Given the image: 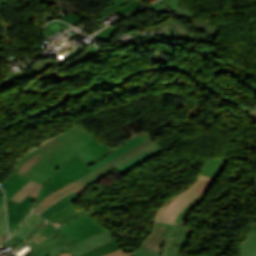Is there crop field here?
<instances>
[{
  "label": "crop field",
  "mask_w": 256,
  "mask_h": 256,
  "mask_svg": "<svg viewBox=\"0 0 256 256\" xmlns=\"http://www.w3.org/2000/svg\"><path fill=\"white\" fill-rule=\"evenodd\" d=\"M40 153L45 158L39 162L25 177L44 184L49 175L55 171L57 167L63 164L75 152L58 137L47 141L41 147L24 155L17 162V171L23 163L36 153ZM51 176V175H50Z\"/></svg>",
  "instance_id": "8a807250"
},
{
  "label": "crop field",
  "mask_w": 256,
  "mask_h": 256,
  "mask_svg": "<svg viewBox=\"0 0 256 256\" xmlns=\"http://www.w3.org/2000/svg\"><path fill=\"white\" fill-rule=\"evenodd\" d=\"M215 180L201 175L191 189L172 199L159 211L156 221L183 224L185 214L205 196Z\"/></svg>",
  "instance_id": "ac0d7876"
},
{
  "label": "crop field",
  "mask_w": 256,
  "mask_h": 256,
  "mask_svg": "<svg viewBox=\"0 0 256 256\" xmlns=\"http://www.w3.org/2000/svg\"><path fill=\"white\" fill-rule=\"evenodd\" d=\"M73 148L86 165L110 154L113 150L96 142V137L80 125L58 136Z\"/></svg>",
  "instance_id": "34b2d1b8"
},
{
  "label": "crop field",
  "mask_w": 256,
  "mask_h": 256,
  "mask_svg": "<svg viewBox=\"0 0 256 256\" xmlns=\"http://www.w3.org/2000/svg\"><path fill=\"white\" fill-rule=\"evenodd\" d=\"M90 171L92 170L84 164L77 154L72 156L51 176V178L40 190L35 208L38 203L49 194L67 185L68 183L79 179Z\"/></svg>",
  "instance_id": "412701ff"
},
{
  "label": "crop field",
  "mask_w": 256,
  "mask_h": 256,
  "mask_svg": "<svg viewBox=\"0 0 256 256\" xmlns=\"http://www.w3.org/2000/svg\"><path fill=\"white\" fill-rule=\"evenodd\" d=\"M156 146L157 145L153 141L149 140V141L123 153L122 155L111 160L110 162L103 165L102 167L88 173L84 177L80 178L78 181L90 186V185L98 182L102 178H104L106 175H108L109 173L114 171L116 168L124 165L131 159L137 157L138 155H140Z\"/></svg>",
  "instance_id": "f4fd0767"
},
{
  "label": "crop field",
  "mask_w": 256,
  "mask_h": 256,
  "mask_svg": "<svg viewBox=\"0 0 256 256\" xmlns=\"http://www.w3.org/2000/svg\"><path fill=\"white\" fill-rule=\"evenodd\" d=\"M76 243L75 239L57 228L26 256H58Z\"/></svg>",
  "instance_id": "dd49c442"
},
{
  "label": "crop field",
  "mask_w": 256,
  "mask_h": 256,
  "mask_svg": "<svg viewBox=\"0 0 256 256\" xmlns=\"http://www.w3.org/2000/svg\"><path fill=\"white\" fill-rule=\"evenodd\" d=\"M60 229L79 242L106 230L103 226L91 219L89 215L81 217Z\"/></svg>",
  "instance_id": "e52e79f7"
},
{
  "label": "crop field",
  "mask_w": 256,
  "mask_h": 256,
  "mask_svg": "<svg viewBox=\"0 0 256 256\" xmlns=\"http://www.w3.org/2000/svg\"><path fill=\"white\" fill-rule=\"evenodd\" d=\"M171 226L172 224L156 223L155 231L140 248L150 252L160 254L163 240L166 234L168 233L169 229L171 228Z\"/></svg>",
  "instance_id": "d8731c3e"
},
{
  "label": "crop field",
  "mask_w": 256,
  "mask_h": 256,
  "mask_svg": "<svg viewBox=\"0 0 256 256\" xmlns=\"http://www.w3.org/2000/svg\"><path fill=\"white\" fill-rule=\"evenodd\" d=\"M112 239H115L113 234L111 232H109L108 230H106L92 238H89V239L69 248L68 250H66V252L70 253L73 256H78V255L82 254L83 252H85L97 245H100L102 243L110 241Z\"/></svg>",
  "instance_id": "5a996713"
},
{
  "label": "crop field",
  "mask_w": 256,
  "mask_h": 256,
  "mask_svg": "<svg viewBox=\"0 0 256 256\" xmlns=\"http://www.w3.org/2000/svg\"><path fill=\"white\" fill-rule=\"evenodd\" d=\"M34 200L29 195L20 204L7 199L10 230L21 219Z\"/></svg>",
  "instance_id": "3316defc"
},
{
  "label": "crop field",
  "mask_w": 256,
  "mask_h": 256,
  "mask_svg": "<svg viewBox=\"0 0 256 256\" xmlns=\"http://www.w3.org/2000/svg\"><path fill=\"white\" fill-rule=\"evenodd\" d=\"M185 227L173 224L169 233L167 234L161 256H174L176 244L179 241Z\"/></svg>",
  "instance_id": "28ad6ade"
},
{
  "label": "crop field",
  "mask_w": 256,
  "mask_h": 256,
  "mask_svg": "<svg viewBox=\"0 0 256 256\" xmlns=\"http://www.w3.org/2000/svg\"><path fill=\"white\" fill-rule=\"evenodd\" d=\"M150 139L148 134L146 135H142V136H139V137H136L132 140H130L129 142H127L125 145H123L122 147H120L118 150H116L115 152L113 151L110 155L104 157L103 159L95 162V165L90 167L92 170L105 164L106 162L110 161L111 159L115 158L116 156L122 154L123 152L133 148L134 146L146 141Z\"/></svg>",
  "instance_id": "d1516ede"
},
{
  "label": "crop field",
  "mask_w": 256,
  "mask_h": 256,
  "mask_svg": "<svg viewBox=\"0 0 256 256\" xmlns=\"http://www.w3.org/2000/svg\"><path fill=\"white\" fill-rule=\"evenodd\" d=\"M83 184L75 181L60 190L54 192L53 194L49 195L46 199H44L42 202L39 203L37 208L34 210V212L39 213L43 211L45 208H47L51 203H53L56 199L60 198L61 196L79 188Z\"/></svg>",
  "instance_id": "22f410ed"
},
{
  "label": "crop field",
  "mask_w": 256,
  "mask_h": 256,
  "mask_svg": "<svg viewBox=\"0 0 256 256\" xmlns=\"http://www.w3.org/2000/svg\"><path fill=\"white\" fill-rule=\"evenodd\" d=\"M28 181H29V179L13 173L3 183H1V186H3L5 188L6 193H7V198L10 199Z\"/></svg>",
  "instance_id": "cbeb9de0"
},
{
  "label": "crop field",
  "mask_w": 256,
  "mask_h": 256,
  "mask_svg": "<svg viewBox=\"0 0 256 256\" xmlns=\"http://www.w3.org/2000/svg\"><path fill=\"white\" fill-rule=\"evenodd\" d=\"M227 163V158L226 157H221L217 159H210V161L205 165V167L202 170V175L218 178L220 175L221 171L225 167Z\"/></svg>",
  "instance_id": "5142ce71"
},
{
  "label": "crop field",
  "mask_w": 256,
  "mask_h": 256,
  "mask_svg": "<svg viewBox=\"0 0 256 256\" xmlns=\"http://www.w3.org/2000/svg\"><path fill=\"white\" fill-rule=\"evenodd\" d=\"M69 28L71 27L64 23L52 22L46 27L42 36L53 42L58 36L67 31Z\"/></svg>",
  "instance_id": "d9b57169"
},
{
  "label": "crop field",
  "mask_w": 256,
  "mask_h": 256,
  "mask_svg": "<svg viewBox=\"0 0 256 256\" xmlns=\"http://www.w3.org/2000/svg\"><path fill=\"white\" fill-rule=\"evenodd\" d=\"M119 250L116 240H112L98 247H95L80 256H101Z\"/></svg>",
  "instance_id": "733c2abd"
},
{
  "label": "crop field",
  "mask_w": 256,
  "mask_h": 256,
  "mask_svg": "<svg viewBox=\"0 0 256 256\" xmlns=\"http://www.w3.org/2000/svg\"><path fill=\"white\" fill-rule=\"evenodd\" d=\"M41 187L40 184L30 180L21 190H19L11 200L20 203L28 194L35 197L37 191Z\"/></svg>",
  "instance_id": "4a817a6b"
},
{
  "label": "crop field",
  "mask_w": 256,
  "mask_h": 256,
  "mask_svg": "<svg viewBox=\"0 0 256 256\" xmlns=\"http://www.w3.org/2000/svg\"><path fill=\"white\" fill-rule=\"evenodd\" d=\"M161 152H162V150H161V148L158 146L157 148H155V149H153V150H151V151H149V152H147V153H145V154H143V155H141V156H139V157H137V158L131 160L130 162H128V163L125 164L124 166H122V167L116 169V171H117L118 173H120V174L123 175V174L126 173L129 169H131L133 166H135V165L139 164L140 162H142V161H144V160H146V159H148V158H150V157H152V156H154V155H157V154H159V153H161Z\"/></svg>",
  "instance_id": "bc2a9ffb"
},
{
  "label": "crop field",
  "mask_w": 256,
  "mask_h": 256,
  "mask_svg": "<svg viewBox=\"0 0 256 256\" xmlns=\"http://www.w3.org/2000/svg\"><path fill=\"white\" fill-rule=\"evenodd\" d=\"M138 7H141V2L139 0H134L130 4L121 6V7L116 8V9H113L111 11H108V12H106L104 14H101V15H98L96 17L101 18V17H104V16H106L108 14H111L114 11H117L119 13V15L122 16V15H124V14H126V13H128V12H130V11L136 9V8H138Z\"/></svg>",
  "instance_id": "214f88e0"
},
{
  "label": "crop field",
  "mask_w": 256,
  "mask_h": 256,
  "mask_svg": "<svg viewBox=\"0 0 256 256\" xmlns=\"http://www.w3.org/2000/svg\"><path fill=\"white\" fill-rule=\"evenodd\" d=\"M43 158L44 157H42L40 154L37 153L32 158H30L27 162L24 163V165L18 171V174L24 176L29 170H31Z\"/></svg>",
  "instance_id": "92a150f3"
},
{
  "label": "crop field",
  "mask_w": 256,
  "mask_h": 256,
  "mask_svg": "<svg viewBox=\"0 0 256 256\" xmlns=\"http://www.w3.org/2000/svg\"><path fill=\"white\" fill-rule=\"evenodd\" d=\"M254 244H256V231L252 229L248 233L240 247L242 255H244V253Z\"/></svg>",
  "instance_id": "dafd665d"
},
{
  "label": "crop field",
  "mask_w": 256,
  "mask_h": 256,
  "mask_svg": "<svg viewBox=\"0 0 256 256\" xmlns=\"http://www.w3.org/2000/svg\"><path fill=\"white\" fill-rule=\"evenodd\" d=\"M87 214L88 213L85 212V211H78V212H75V213L65 217V218H62V219L56 221L55 222L56 224H54V223H52V224H54L55 226H57L59 228V227L65 225V224H67V223H69V222H71V221H73V220H75V219H77L81 216L87 215Z\"/></svg>",
  "instance_id": "00972430"
},
{
  "label": "crop field",
  "mask_w": 256,
  "mask_h": 256,
  "mask_svg": "<svg viewBox=\"0 0 256 256\" xmlns=\"http://www.w3.org/2000/svg\"><path fill=\"white\" fill-rule=\"evenodd\" d=\"M75 211H78V210L75 207V205L72 204V205L68 206L67 208L63 209L62 211L58 212L57 214L53 215L52 217H50V218H48L46 220H48L49 222L52 223V222H54V221H56V220H58V219H60V218H62L64 216H66V215H69V214H71V213H73Z\"/></svg>",
  "instance_id": "a9b5d70f"
},
{
  "label": "crop field",
  "mask_w": 256,
  "mask_h": 256,
  "mask_svg": "<svg viewBox=\"0 0 256 256\" xmlns=\"http://www.w3.org/2000/svg\"><path fill=\"white\" fill-rule=\"evenodd\" d=\"M187 229V228H186ZM192 229L190 231H186L184 232L181 240L179 241V243L177 244V248H176V254L175 256H184L183 255V251H182V248L184 246V244L186 243L187 239L189 238V236L191 235L192 233Z\"/></svg>",
  "instance_id": "4177f3b9"
},
{
  "label": "crop field",
  "mask_w": 256,
  "mask_h": 256,
  "mask_svg": "<svg viewBox=\"0 0 256 256\" xmlns=\"http://www.w3.org/2000/svg\"><path fill=\"white\" fill-rule=\"evenodd\" d=\"M115 30H116L115 27H112V26L109 25L103 31H101L96 36H94L93 38H103V39H109L110 40L112 35L114 34Z\"/></svg>",
  "instance_id": "730fd06b"
},
{
  "label": "crop field",
  "mask_w": 256,
  "mask_h": 256,
  "mask_svg": "<svg viewBox=\"0 0 256 256\" xmlns=\"http://www.w3.org/2000/svg\"><path fill=\"white\" fill-rule=\"evenodd\" d=\"M176 14L179 17H191V18H195L196 14L191 12L186 6H181L178 8Z\"/></svg>",
  "instance_id": "eef30255"
},
{
  "label": "crop field",
  "mask_w": 256,
  "mask_h": 256,
  "mask_svg": "<svg viewBox=\"0 0 256 256\" xmlns=\"http://www.w3.org/2000/svg\"><path fill=\"white\" fill-rule=\"evenodd\" d=\"M131 1H132V0H111V2L109 3V6L106 7L104 11H101V12L98 13V14H101V13H103V12H105V11H108V10H110V9L116 8V7H118V6L127 4V3L131 2ZM98 14H96V15H98Z\"/></svg>",
  "instance_id": "ae1a2a85"
},
{
  "label": "crop field",
  "mask_w": 256,
  "mask_h": 256,
  "mask_svg": "<svg viewBox=\"0 0 256 256\" xmlns=\"http://www.w3.org/2000/svg\"><path fill=\"white\" fill-rule=\"evenodd\" d=\"M85 16L84 14H80L78 16L67 13L61 20L66 21L72 25L76 24L81 17Z\"/></svg>",
  "instance_id": "d3111659"
},
{
  "label": "crop field",
  "mask_w": 256,
  "mask_h": 256,
  "mask_svg": "<svg viewBox=\"0 0 256 256\" xmlns=\"http://www.w3.org/2000/svg\"><path fill=\"white\" fill-rule=\"evenodd\" d=\"M7 235L6 233V221H5V213L0 218V243L2 239Z\"/></svg>",
  "instance_id": "750c4746"
},
{
  "label": "crop field",
  "mask_w": 256,
  "mask_h": 256,
  "mask_svg": "<svg viewBox=\"0 0 256 256\" xmlns=\"http://www.w3.org/2000/svg\"><path fill=\"white\" fill-rule=\"evenodd\" d=\"M165 4V6H169L172 8V10H176L178 5H180L181 0H161Z\"/></svg>",
  "instance_id": "bd1437ed"
},
{
  "label": "crop field",
  "mask_w": 256,
  "mask_h": 256,
  "mask_svg": "<svg viewBox=\"0 0 256 256\" xmlns=\"http://www.w3.org/2000/svg\"><path fill=\"white\" fill-rule=\"evenodd\" d=\"M151 10H153L156 13H161V12H165L166 9L164 6L161 5V3L158 1L152 5H150L149 7Z\"/></svg>",
  "instance_id": "1d83c4d3"
},
{
  "label": "crop field",
  "mask_w": 256,
  "mask_h": 256,
  "mask_svg": "<svg viewBox=\"0 0 256 256\" xmlns=\"http://www.w3.org/2000/svg\"><path fill=\"white\" fill-rule=\"evenodd\" d=\"M133 254H134V256H160L158 254L146 252V251L141 250V249L138 250V251H134Z\"/></svg>",
  "instance_id": "120bbe31"
},
{
  "label": "crop field",
  "mask_w": 256,
  "mask_h": 256,
  "mask_svg": "<svg viewBox=\"0 0 256 256\" xmlns=\"http://www.w3.org/2000/svg\"><path fill=\"white\" fill-rule=\"evenodd\" d=\"M188 22H192L193 25H194V27H196L197 29H199V28H201V27H203V26L209 24V23H210V20L195 21V22L189 20Z\"/></svg>",
  "instance_id": "d32e631a"
},
{
  "label": "crop field",
  "mask_w": 256,
  "mask_h": 256,
  "mask_svg": "<svg viewBox=\"0 0 256 256\" xmlns=\"http://www.w3.org/2000/svg\"><path fill=\"white\" fill-rule=\"evenodd\" d=\"M33 209L29 208V210L26 212V214L23 216V218L16 224V226L13 228V230L10 232V234L12 235L14 233V231L19 227V225L25 220V218L30 214V212Z\"/></svg>",
  "instance_id": "5866460e"
},
{
  "label": "crop field",
  "mask_w": 256,
  "mask_h": 256,
  "mask_svg": "<svg viewBox=\"0 0 256 256\" xmlns=\"http://www.w3.org/2000/svg\"><path fill=\"white\" fill-rule=\"evenodd\" d=\"M252 228L256 230V225H253ZM244 256H256V245L251 247Z\"/></svg>",
  "instance_id": "028f5c9d"
},
{
  "label": "crop field",
  "mask_w": 256,
  "mask_h": 256,
  "mask_svg": "<svg viewBox=\"0 0 256 256\" xmlns=\"http://www.w3.org/2000/svg\"><path fill=\"white\" fill-rule=\"evenodd\" d=\"M106 256H132V254H125L122 251L114 252Z\"/></svg>",
  "instance_id": "e1f06a70"
},
{
  "label": "crop field",
  "mask_w": 256,
  "mask_h": 256,
  "mask_svg": "<svg viewBox=\"0 0 256 256\" xmlns=\"http://www.w3.org/2000/svg\"><path fill=\"white\" fill-rule=\"evenodd\" d=\"M168 17H169V15H164L163 17H161V18L157 19L156 21L152 22L151 25H154V24H156V23H158V22H162V21H164L165 19H167ZM151 25H150V26H151Z\"/></svg>",
  "instance_id": "0bd39190"
},
{
  "label": "crop field",
  "mask_w": 256,
  "mask_h": 256,
  "mask_svg": "<svg viewBox=\"0 0 256 256\" xmlns=\"http://www.w3.org/2000/svg\"><path fill=\"white\" fill-rule=\"evenodd\" d=\"M5 212V208H4V202L1 203L0 205V217L2 216V214Z\"/></svg>",
  "instance_id": "b80d0937"
},
{
  "label": "crop field",
  "mask_w": 256,
  "mask_h": 256,
  "mask_svg": "<svg viewBox=\"0 0 256 256\" xmlns=\"http://www.w3.org/2000/svg\"><path fill=\"white\" fill-rule=\"evenodd\" d=\"M3 201V198H2V191L0 190V203Z\"/></svg>",
  "instance_id": "c035e120"
},
{
  "label": "crop field",
  "mask_w": 256,
  "mask_h": 256,
  "mask_svg": "<svg viewBox=\"0 0 256 256\" xmlns=\"http://www.w3.org/2000/svg\"><path fill=\"white\" fill-rule=\"evenodd\" d=\"M2 2H3V1H0V10H1V6H2ZM0 18H1V14H0Z\"/></svg>",
  "instance_id": "c21b1889"
}]
</instances>
